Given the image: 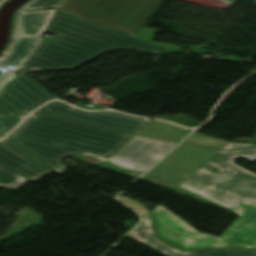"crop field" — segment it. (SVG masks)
<instances>
[{
    "label": "crop field",
    "mask_w": 256,
    "mask_h": 256,
    "mask_svg": "<svg viewBox=\"0 0 256 256\" xmlns=\"http://www.w3.org/2000/svg\"><path fill=\"white\" fill-rule=\"evenodd\" d=\"M137 228V227H136ZM131 233V232H130ZM129 237L133 238V239H136L138 241H141L145 244H147V238H148V232L147 230L142 227V226H139L137 229H135L131 234L128 235ZM149 245V244H147ZM150 246V245H149ZM152 247V246H151ZM154 248V247H153ZM157 250V249H156ZM158 251V250H157ZM160 252V251H159ZM162 253V252H161ZM163 254H166L168 256H184L176 251H171V252H166V253H163Z\"/></svg>",
    "instance_id": "17"
},
{
    "label": "crop field",
    "mask_w": 256,
    "mask_h": 256,
    "mask_svg": "<svg viewBox=\"0 0 256 256\" xmlns=\"http://www.w3.org/2000/svg\"><path fill=\"white\" fill-rule=\"evenodd\" d=\"M185 1L221 8L216 0H185Z\"/></svg>",
    "instance_id": "22"
},
{
    "label": "crop field",
    "mask_w": 256,
    "mask_h": 256,
    "mask_svg": "<svg viewBox=\"0 0 256 256\" xmlns=\"http://www.w3.org/2000/svg\"><path fill=\"white\" fill-rule=\"evenodd\" d=\"M133 136L38 113L29 116L6 139L62 174L66 167L61 160L65 156L87 153L107 160Z\"/></svg>",
    "instance_id": "1"
},
{
    "label": "crop field",
    "mask_w": 256,
    "mask_h": 256,
    "mask_svg": "<svg viewBox=\"0 0 256 256\" xmlns=\"http://www.w3.org/2000/svg\"><path fill=\"white\" fill-rule=\"evenodd\" d=\"M0 165L31 181L51 173L5 140L0 142Z\"/></svg>",
    "instance_id": "10"
},
{
    "label": "crop field",
    "mask_w": 256,
    "mask_h": 256,
    "mask_svg": "<svg viewBox=\"0 0 256 256\" xmlns=\"http://www.w3.org/2000/svg\"><path fill=\"white\" fill-rule=\"evenodd\" d=\"M40 39L17 38L11 54L0 64L1 66H14L17 70L30 54L36 49Z\"/></svg>",
    "instance_id": "14"
},
{
    "label": "crop field",
    "mask_w": 256,
    "mask_h": 256,
    "mask_svg": "<svg viewBox=\"0 0 256 256\" xmlns=\"http://www.w3.org/2000/svg\"><path fill=\"white\" fill-rule=\"evenodd\" d=\"M53 13L50 11H24L19 18L18 36L41 37Z\"/></svg>",
    "instance_id": "12"
},
{
    "label": "crop field",
    "mask_w": 256,
    "mask_h": 256,
    "mask_svg": "<svg viewBox=\"0 0 256 256\" xmlns=\"http://www.w3.org/2000/svg\"><path fill=\"white\" fill-rule=\"evenodd\" d=\"M251 146H256V145L236 144V143L229 142L223 149L234 150V149L247 148V147H251Z\"/></svg>",
    "instance_id": "23"
},
{
    "label": "crop field",
    "mask_w": 256,
    "mask_h": 256,
    "mask_svg": "<svg viewBox=\"0 0 256 256\" xmlns=\"http://www.w3.org/2000/svg\"><path fill=\"white\" fill-rule=\"evenodd\" d=\"M45 32L56 33L57 36L53 41L41 40L23 67L33 71L73 69L105 52L122 49L152 54L170 52L57 10Z\"/></svg>",
    "instance_id": "2"
},
{
    "label": "crop field",
    "mask_w": 256,
    "mask_h": 256,
    "mask_svg": "<svg viewBox=\"0 0 256 256\" xmlns=\"http://www.w3.org/2000/svg\"><path fill=\"white\" fill-rule=\"evenodd\" d=\"M164 0H62L56 7L134 36Z\"/></svg>",
    "instance_id": "5"
},
{
    "label": "crop field",
    "mask_w": 256,
    "mask_h": 256,
    "mask_svg": "<svg viewBox=\"0 0 256 256\" xmlns=\"http://www.w3.org/2000/svg\"><path fill=\"white\" fill-rule=\"evenodd\" d=\"M217 1L219 2L222 8H227L238 0H217Z\"/></svg>",
    "instance_id": "25"
},
{
    "label": "crop field",
    "mask_w": 256,
    "mask_h": 256,
    "mask_svg": "<svg viewBox=\"0 0 256 256\" xmlns=\"http://www.w3.org/2000/svg\"><path fill=\"white\" fill-rule=\"evenodd\" d=\"M38 111L62 116L75 121L103 127L110 130L137 134L150 121L133 118L116 112H93L74 109L60 102H50Z\"/></svg>",
    "instance_id": "8"
},
{
    "label": "crop field",
    "mask_w": 256,
    "mask_h": 256,
    "mask_svg": "<svg viewBox=\"0 0 256 256\" xmlns=\"http://www.w3.org/2000/svg\"><path fill=\"white\" fill-rule=\"evenodd\" d=\"M25 116L26 115L0 119V133L3 136L6 135V133L15 127Z\"/></svg>",
    "instance_id": "18"
},
{
    "label": "crop field",
    "mask_w": 256,
    "mask_h": 256,
    "mask_svg": "<svg viewBox=\"0 0 256 256\" xmlns=\"http://www.w3.org/2000/svg\"><path fill=\"white\" fill-rule=\"evenodd\" d=\"M29 71L18 69L0 91V118L27 114L49 99L57 98L27 76Z\"/></svg>",
    "instance_id": "6"
},
{
    "label": "crop field",
    "mask_w": 256,
    "mask_h": 256,
    "mask_svg": "<svg viewBox=\"0 0 256 256\" xmlns=\"http://www.w3.org/2000/svg\"><path fill=\"white\" fill-rule=\"evenodd\" d=\"M202 139V140H199ZM184 143L196 144L201 146L213 147L221 149L224 147L228 142L215 139L213 137L203 136L198 133H193L190 135L186 140L183 141Z\"/></svg>",
    "instance_id": "16"
},
{
    "label": "crop field",
    "mask_w": 256,
    "mask_h": 256,
    "mask_svg": "<svg viewBox=\"0 0 256 256\" xmlns=\"http://www.w3.org/2000/svg\"><path fill=\"white\" fill-rule=\"evenodd\" d=\"M190 132V130H186L165 122L152 120L138 134L180 141Z\"/></svg>",
    "instance_id": "13"
},
{
    "label": "crop field",
    "mask_w": 256,
    "mask_h": 256,
    "mask_svg": "<svg viewBox=\"0 0 256 256\" xmlns=\"http://www.w3.org/2000/svg\"><path fill=\"white\" fill-rule=\"evenodd\" d=\"M250 157H256V148L232 152L220 150L181 187L229 209L240 199L256 202V174L234 164L236 158ZM209 164L220 172H208L205 167Z\"/></svg>",
    "instance_id": "4"
},
{
    "label": "crop field",
    "mask_w": 256,
    "mask_h": 256,
    "mask_svg": "<svg viewBox=\"0 0 256 256\" xmlns=\"http://www.w3.org/2000/svg\"><path fill=\"white\" fill-rule=\"evenodd\" d=\"M32 1L34 0H30L29 2H27L25 5H23L21 7V9H19L18 11H16L14 17H13V32H12V36L10 38V41H9V44L6 48V50L2 53L4 55H8V53L10 52V49L12 47V44H13V41H14V38H15V35H16V20L21 12L22 9H24L28 4H30Z\"/></svg>",
    "instance_id": "20"
},
{
    "label": "crop field",
    "mask_w": 256,
    "mask_h": 256,
    "mask_svg": "<svg viewBox=\"0 0 256 256\" xmlns=\"http://www.w3.org/2000/svg\"><path fill=\"white\" fill-rule=\"evenodd\" d=\"M254 1V3L256 4V0H253Z\"/></svg>",
    "instance_id": "26"
},
{
    "label": "crop field",
    "mask_w": 256,
    "mask_h": 256,
    "mask_svg": "<svg viewBox=\"0 0 256 256\" xmlns=\"http://www.w3.org/2000/svg\"><path fill=\"white\" fill-rule=\"evenodd\" d=\"M231 209L240 217L220 238L197 232L161 205L150 212L161 238L182 250L211 247L256 249V204L240 200Z\"/></svg>",
    "instance_id": "3"
},
{
    "label": "crop field",
    "mask_w": 256,
    "mask_h": 256,
    "mask_svg": "<svg viewBox=\"0 0 256 256\" xmlns=\"http://www.w3.org/2000/svg\"><path fill=\"white\" fill-rule=\"evenodd\" d=\"M61 0H38L27 9L55 8Z\"/></svg>",
    "instance_id": "19"
},
{
    "label": "crop field",
    "mask_w": 256,
    "mask_h": 256,
    "mask_svg": "<svg viewBox=\"0 0 256 256\" xmlns=\"http://www.w3.org/2000/svg\"><path fill=\"white\" fill-rule=\"evenodd\" d=\"M12 74H0V90L6 84Z\"/></svg>",
    "instance_id": "24"
},
{
    "label": "crop field",
    "mask_w": 256,
    "mask_h": 256,
    "mask_svg": "<svg viewBox=\"0 0 256 256\" xmlns=\"http://www.w3.org/2000/svg\"><path fill=\"white\" fill-rule=\"evenodd\" d=\"M117 199L120 200V201H122V202H124V203H126L127 205H129V206L132 207L133 209H135V210H136L138 213H140L143 217L148 214V212H147V210H146V208H145L144 206H142V205H140V204H138V203L132 201V200L129 199V198L119 196V197H117Z\"/></svg>",
    "instance_id": "21"
},
{
    "label": "crop field",
    "mask_w": 256,
    "mask_h": 256,
    "mask_svg": "<svg viewBox=\"0 0 256 256\" xmlns=\"http://www.w3.org/2000/svg\"><path fill=\"white\" fill-rule=\"evenodd\" d=\"M29 180L11 172L10 170L0 166V188L16 189L20 185Z\"/></svg>",
    "instance_id": "15"
},
{
    "label": "crop field",
    "mask_w": 256,
    "mask_h": 256,
    "mask_svg": "<svg viewBox=\"0 0 256 256\" xmlns=\"http://www.w3.org/2000/svg\"><path fill=\"white\" fill-rule=\"evenodd\" d=\"M149 232L148 242L162 252L176 250L164 241L158 238L152 221L147 215L141 223ZM178 251V250H176ZM186 256H256V250L245 249H213V250H197V251H178Z\"/></svg>",
    "instance_id": "11"
},
{
    "label": "crop field",
    "mask_w": 256,
    "mask_h": 256,
    "mask_svg": "<svg viewBox=\"0 0 256 256\" xmlns=\"http://www.w3.org/2000/svg\"><path fill=\"white\" fill-rule=\"evenodd\" d=\"M176 144L135 135L108 161L129 170L144 172Z\"/></svg>",
    "instance_id": "9"
},
{
    "label": "crop field",
    "mask_w": 256,
    "mask_h": 256,
    "mask_svg": "<svg viewBox=\"0 0 256 256\" xmlns=\"http://www.w3.org/2000/svg\"><path fill=\"white\" fill-rule=\"evenodd\" d=\"M219 150L181 144L148 174L182 184Z\"/></svg>",
    "instance_id": "7"
}]
</instances>
